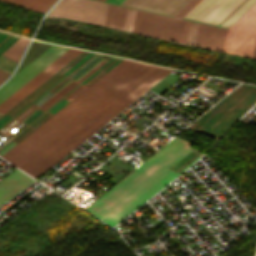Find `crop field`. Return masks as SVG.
Wrapping results in <instances>:
<instances>
[{
    "instance_id": "obj_22",
    "label": "crop field",
    "mask_w": 256,
    "mask_h": 256,
    "mask_svg": "<svg viewBox=\"0 0 256 256\" xmlns=\"http://www.w3.org/2000/svg\"><path fill=\"white\" fill-rule=\"evenodd\" d=\"M198 153H199L198 151L194 150L188 156H186L183 160H181L179 163H177L174 167H172V169L177 171Z\"/></svg>"
},
{
    "instance_id": "obj_1",
    "label": "crop field",
    "mask_w": 256,
    "mask_h": 256,
    "mask_svg": "<svg viewBox=\"0 0 256 256\" xmlns=\"http://www.w3.org/2000/svg\"><path fill=\"white\" fill-rule=\"evenodd\" d=\"M171 71L147 64L18 168L37 179Z\"/></svg>"
},
{
    "instance_id": "obj_3",
    "label": "crop field",
    "mask_w": 256,
    "mask_h": 256,
    "mask_svg": "<svg viewBox=\"0 0 256 256\" xmlns=\"http://www.w3.org/2000/svg\"><path fill=\"white\" fill-rule=\"evenodd\" d=\"M144 65L124 59L2 157L18 167Z\"/></svg>"
},
{
    "instance_id": "obj_4",
    "label": "crop field",
    "mask_w": 256,
    "mask_h": 256,
    "mask_svg": "<svg viewBox=\"0 0 256 256\" xmlns=\"http://www.w3.org/2000/svg\"><path fill=\"white\" fill-rule=\"evenodd\" d=\"M88 56H90V54L88 53H84L82 54L79 58H77L74 62H72L69 66H67L64 70H62L63 73H67L69 72L71 69H73L75 66H77L80 62H82L84 59H86ZM99 57H97L96 55H92L90 56L86 61H84L81 65H79L76 69H74L70 74H68V76L70 77H74L76 76L78 73H80L83 69H85L87 66H89L92 62H94L96 59H98ZM101 59H99L98 61H100ZM98 61H96L93 65H95ZM119 61H121L120 59H116L113 58L112 60H110L108 63H106L103 67V69L105 70H109L111 69L114 65H116ZM103 62V60L101 61ZM101 62H99L97 65H95L92 69H90L93 65H91L88 69H90L88 72H86L88 69H86L82 74H85L83 76H81L82 74H80L77 78H75V80L77 79V81H79L80 79H82L85 75H87L91 70H93L96 66H98ZM105 62V61H104ZM103 62V63H104ZM102 64V63H101ZM100 64V65H101ZM99 65V66H100ZM97 68V67H96ZM95 68V69H96ZM94 69V70H95ZM61 72V73H62ZM91 73V72H90ZM106 72L102 71V70H98L96 71L92 76H90L86 81H84L82 84H84L85 86H89L91 85L94 81H96L98 78H100L103 74H105ZM86 77V76H85ZM86 79V78H85ZM68 81H70V79L68 78H63L61 81H59L58 83H56L55 85H53L50 89L53 91H57L59 90L62 86H64ZM82 82V81H81ZM77 85V83L71 81L68 85H66L61 91L58 92V94L60 95H64L66 94L68 91H70L73 87H75ZM86 88L82 87V86H78L76 87L73 91H71L67 96H65L64 98L68 99V100H72L73 98H75L78 94H80L83 90H85ZM51 95H53V93L51 92H47L45 93L42 97H40L36 102H34V104L36 105H40L42 104L45 100H47ZM60 97L54 95L53 97H51L48 101H46L43 105H41L40 107H42L43 109H47L49 108L52 104H54L57 100H59ZM68 102L64 99H62L61 101H59L56 105H54L50 110H48L51 113H56L59 109H61L64 105H66ZM35 108L34 105H30L28 106L25 110H23L19 115H17L16 117L19 118L20 120L22 118H24L26 115H28L30 112H32ZM44 111L40 110V109H36L34 110L31 114H29L25 119H23V121H25L26 123H30L31 121H33L35 118H37L40 114H42ZM50 116V114L48 113H44L42 114L39 118H37L33 123H31L30 125L34 126V127H38L40 124H42L45 120H47ZM13 117L9 116V115H5L4 117H2L0 119V127L2 125H4L6 122H8L10 119H12ZM19 120L17 119H13L11 120L8 124H6L2 129H0V131L2 132H6L7 130H9L15 123H17ZM22 122H20L19 124L16 125V127L18 125H20ZM26 125L23 124L22 126H20L19 128H23ZM34 129L31 127H27L25 128L22 132H20L16 137H14L13 139L20 141L21 139H23L26 135H28L31 131H33ZM17 132H19V130L15 131L14 133L16 134ZM16 143L14 141H9L7 144H5L3 147L0 148V155L4 154L7 150H9L11 147H13Z\"/></svg>"
},
{
    "instance_id": "obj_12",
    "label": "crop field",
    "mask_w": 256,
    "mask_h": 256,
    "mask_svg": "<svg viewBox=\"0 0 256 256\" xmlns=\"http://www.w3.org/2000/svg\"><path fill=\"white\" fill-rule=\"evenodd\" d=\"M190 0H124L121 4L174 16Z\"/></svg>"
},
{
    "instance_id": "obj_19",
    "label": "crop field",
    "mask_w": 256,
    "mask_h": 256,
    "mask_svg": "<svg viewBox=\"0 0 256 256\" xmlns=\"http://www.w3.org/2000/svg\"><path fill=\"white\" fill-rule=\"evenodd\" d=\"M135 12H136V10L129 8L124 31H131L132 32L133 24H134V18H135Z\"/></svg>"
},
{
    "instance_id": "obj_17",
    "label": "crop field",
    "mask_w": 256,
    "mask_h": 256,
    "mask_svg": "<svg viewBox=\"0 0 256 256\" xmlns=\"http://www.w3.org/2000/svg\"><path fill=\"white\" fill-rule=\"evenodd\" d=\"M27 38L21 37L18 41H16L9 49H7L4 53L16 58L20 59L27 43H28Z\"/></svg>"
},
{
    "instance_id": "obj_7",
    "label": "crop field",
    "mask_w": 256,
    "mask_h": 256,
    "mask_svg": "<svg viewBox=\"0 0 256 256\" xmlns=\"http://www.w3.org/2000/svg\"><path fill=\"white\" fill-rule=\"evenodd\" d=\"M189 24V21L137 10L133 32L185 44Z\"/></svg>"
},
{
    "instance_id": "obj_11",
    "label": "crop field",
    "mask_w": 256,
    "mask_h": 256,
    "mask_svg": "<svg viewBox=\"0 0 256 256\" xmlns=\"http://www.w3.org/2000/svg\"><path fill=\"white\" fill-rule=\"evenodd\" d=\"M67 49L69 48L54 45L39 58L33 61L30 65L24 68L21 72H19L16 76L10 79L5 85L0 88V102H2L5 98L11 95L29 79H31L48 64H50L53 60H55L62 53H64Z\"/></svg>"
},
{
    "instance_id": "obj_20",
    "label": "crop field",
    "mask_w": 256,
    "mask_h": 256,
    "mask_svg": "<svg viewBox=\"0 0 256 256\" xmlns=\"http://www.w3.org/2000/svg\"><path fill=\"white\" fill-rule=\"evenodd\" d=\"M197 25L198 23L191 22L190 28H189V33H188V38H187V44H190L193 46L194 44V39H195V34L197 30Z\"/></svg>"
},
{
    "instance_id": "obj_13",
    "label": "crop field",
    "mask_w": 256,
    "mask_h": 256,
    "mask_svg": "<svg viewBox=\"0 0 256 256\" xmlns=\"http://www.w3.org/2000/svg\"><path fill=\"white\" fill-rule=\"evenodd\" d=\"M226 32L225 29L199 23L194 46L222 52Z\"/></svg>"
},
{
    "instance_id": "obj_18",
    "label": "crop field",
    "mask_w": 256,
    "mask_h": 256,
    "mask_svg": "<svg viewBox=\"0 0 256 256\" xmlns=\"http://www.w3.org/2000/svg\"><path fill=\"white\" fill-rule=\"evenodd\" d=\"M19 38L20 36L9 34L0 30V55Z\"/></svg>"
},
{
    "instance_id": "obj_23",
    "label": "crop field",
    "mask_w": 256,
    "mask_h": 256,
    "mask_svg": "<svg viewBox=\"0 0 256 256\" xmlns=\"http://www.w3.org/2000/svg\"><path fill=\"white\" fill-rule=\"evenodd\" d=\"M8 76L9 74L0 70V83H2Z\"/></svg>"
},
{
    "instance_id": "obj_26",
    "label": "crop field",
    "mask_w": 256,
    "mask_h": 256,
    "mask_svg": "<svg viewBox=\"0 0 256 256\" xmlns=\"http://www.w3.org/2000/svg\"><path fill=\"white\" fill-rule=\"evenodd\" d=\"M103 1H105V0H103Z\"/></svg>"
},
{
    "instance_id": "obj_24",
    "label": "crop field",
    "mask_w": 256,
    "mask_h": 256,
    "mask_svg": "<svg viewBox=\"0 0 256 256\" xmlns=\"http://www.w3.org/2000/svg\"><path fill=\"white\" fill-rule=\"evenodd\" d=\"M107 2L115 3V4H120L123 0H106Z\"/></svg>"
},
{
    "instance_id": "obj_21",
    "label": "crop field",
    "mask_w": 256,
    "mask_h": 256,
    "mask_svg": "<svg viewBox=\"0 0 256 256\" xmlns=\"http://www.w3.org/2000/svg\"><path fill=\"white\" fill-rule=\"evenodd\" d=\"M200 0H191L183 9H181L175 16L182 18L189 12Z\"/></svg>"
},
{
    "instance_id": "obj_5",
    "label": "crop field",
    "mask_w": 256,
    "mask_h": 256,
    "mask_svg": "<svg viewBox=\"0 0 256 256\" xmlns=\"http://www.w3.org/2000/svg\"><path fill=\"white\" fill-rule=\"evenodd\" d=\"M256 102V87L241 84L189 128L219 138Z\"/></svg>"
},
{
    "instance_id": "obj_8",
    "label": "crop field",
    "mask_w": 256,
    "mask_h": 256,
    "mask_svg": "<svg viewBox=\"0 0 256 256\" xmlns=\"http://www.w3.org/2000/svg\"><path fill=\"white\" fill-rule=\"evenodd\" d=\"M256 38V2L229 28L225 53L251 58Z\"/></svg>"
},
{
    "instance_id": "obj_15",
    "label": "crop field",
    "mask_w": 256,
    "mask_h": 256,
    "mask_svg": "<svg viewBox=\"0 0 256 256\" xmlns=\"http://www.w3.org/2000/svg\"><path fill=\"white\" fill-rule=\"evenodd\" d=\"M127 10L126 7L108 4L104 26L123 31Z\"/></svg>"
},
{
    "instance_id": "obj_6",
    "label": "crop field",
    "mask_w": 256,
    "mask_h": 256,
    "mask_svg": "<svg viewBox=\"0 0 256 256\" xmlns=\"http://www.w3.org/2000/svg\"><path fill=\"white\" fill-rule=\"evenodd\" d=\"M256 0H202L183 18L228 28Z\"/></svg>"
},
{
    "instance_id": "obj_14",
    "label": "crop field",
    "mask_w": 256,
    "mask_h": 256,
    "mask_svg": "<svg viewBox=\"0 0 256 256\" xmlns=\"http://www.w3.org/2000/svg\"><path fill=\"white\" fill-rule=\"evenodd\" d=\"M33 181L34 179L18 169L0 181V205L5 203Z\"/></svg>"
},
{
    "instance_id": "obj_9",
    "label": "crop field",
    "mask_w": 256,
    "mask_h": 256,
    "mask_svg": "<svg viewBox=\"0 0 256 256\" xmlns=\"http://www.w3.org/2000/svg\"><path fill=\"white\" fill-rule=\"evenodd\" d=\"M106 6L91 0H60L47 17L59 16L103 26Z\"/></svg>"
},
{
    "instance_id": "obj_2",
    "label": "crop field",
    "mask_w": 256,
    "mask_h": 256,
    "mask_svg": "<svg viewBox=\"0 0 256 256\" xmlns=\"http://www.w3.org/2000/svg\"><path fill=\"white\" fill-rule=\"evenodd\" d=\"M190 145V142L173 138L135 171L129 174L121 182L115 185L107 193L99 199L92 202L84 210L99 218L110 226H113L123 217L129 214L137 206L170 182L178 174L193 164L200 156L196 155V159H191L181 168V171H173L166 166L179 156ZM191 147L185 150L177 157L168 167L174 166L182 158L193 151ZM115 226V225H114Z\"/></svg>"
},
{
    "instance_id": "obj_25",
    "label": "crop field",
    "mask_w": 256,
    "mask_h": 256,
    "mask_svg": "<svg viewBox=\"0 0 256 256\" xmlns=\"http://www.w3.org/2000/svg\"><path fill=\"white\" fill-rule=\"evenodd\" d=\"M252 58L256 59V42H255V47H254V52Z\"/></svg>"
},
{
    "instance_id": "obj_16",
    "label": "crop field",
    "mask_w": 256,
    "mask_h": 256,
    "mask_svg": "<svg viewBox=\"0 0 256 256\" xmlns=\"http://www.w3.org/2000/svg\"><path fill=\"white\" fill-rule=\"evenodd\" d=\"M28 9L45 13L56 0H3Z\"/></svg>"
},
{
    "instance_id": "obj_10",
    "label": "crop field",
    "mask_w": 256,
    "mask_h": 256,
    "mask_svg": "<svg viewBox=\"0 0 256 256\" xmlns=\"http://www.w3.org/2000/svg\"><path fill=\"white\" fill-rule=\"evenodd\" d=\"M82 50H77L70 48L64 54H62L59 58H57L54 62H52L49 66H47L44 70L38 73L35 77H33L30 81H28L25 85H23L20 89H18L15 93H13L10 97H8L5 101L0 104V112L5 113L14 105H16L19 101H21L24 97H26L29 93L35 90L38 86H40L43 82H45L48 78H50L53 74L59 71L62 67H64L67 63H69L72 59L78 56Z\"/></svg>"
}]
</instances>
